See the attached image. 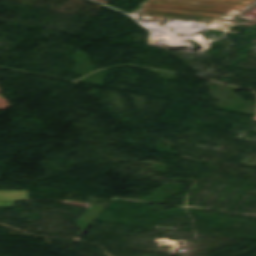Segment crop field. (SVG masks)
Segmentation results:
<instances>
[{"label": "crop field", "mask_w": 256, "mask_h": 256, "mask_svg": "<svg viewBox=\"0 0 256 256\" xmlns=\"http://www.w3.org/2000/svg\"><path fill=\"white\" fill-rule=\"evenodd\" d=\"M252 0H147L145 4L237 10Z\"/></svg>", "instance_id": "crop-field-1"}, {"label": "crop field", "mask_w": 256, "mask_h": 256, "mask_svg": "<svg viewBox=\"0 0 256 256\" xmlns=\"http://www.w3.org/2000/svg\"><path fill=\"white\" fill-rule=\"evenodd\" d=\"M146 6L152 5H144L141 11H149V12H159V13H170V14H182V15H194V16H206V17H213L212 19L207 18H197V17H188V16H178V15H169L164 14L166 16L165 19H173V18H195V19H203L212 21L218 16H222L221 14L215 13H205V12H192V11H179V10H166V9H153V8H146ZM152 7H163V8H174V9H185V10H196V11H207V12H218L224 13V15L231 13V11H224V10H212V9H198V8H184V7H168V6H152Z\"/></svg>", "instance_id": "crop-field-2"}, {"label": "crop field", "mask_w": 256, "mask_h": 256, "mask_svg": "<svg viewBox=\"0 0 256 256\" xmlns=\"http://www.w3.org/2000/svg\"><path fill=\"white\" fill-rule=\"evenodd\" d=\"M14 200H27V191H0V206H13Z\"/></svg>", "instance_id": "crop-field-3"}, {"label": "crop field", "mask_w": 256, "mask_h": 256, "mask_svg": "<svg viewBox=\"0 0 256 256\" xmlns=\"http://www.w3.org/2000/svg\"><path fill=\"white\" fill-rule=\"evenodd\" d=\"M235 15L242 16V17L256 21V1L248 5L241 11L237 12Z\"/></svg>", "instance_id": "crop-field-4"}, {"label": "crop field", "mask_w": 256, "mask_h": 256, "mask_svg": "<svg viewBox=\"0 0 256 256\" xmlns=\"http://www.w3.org/2000/svg\"><path fill=\"white\" fill-rule=\"evenodd\" d=\"M143 18H151V19H164L165 17L163 14L159 13H149V12H142Z\"/></svg>", "instance_id": "crop-field-5"}]
</instances>
